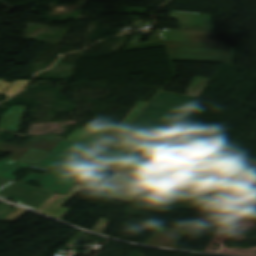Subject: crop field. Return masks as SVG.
<instances>
[{
    "instance_id": "ac0d7876",
    "label": "crop field",
    "mask_w": 256,
    "mask_h": 256,
    "mask_svg": "<svg viewBox=\"0 0 256 256\" xmlns=\"http://www.w3.org/2000/svg\"><path fill=\"white\" fill-rule=\"evenodd\" d=\"M164 43L171 61L225 62L232 64L234 59V50L228 45L170 41H164Z\"/></svg>"
},
{
    "instance_id": "34b2d1b8",
    "label": "crop field",
    "mask_w": 256,
    "mask_h": 256,
    "mask_svg": "<svg viewBox=\"0 0 256 256\" xmlns=\"http://www.w3.org/2000/svg\"><path fill=\"white\" fill-rule=\"evenodd\" d=\"M108 172L116 173L107 187H93L105 191L102 198L132 203L141 187L151 174L149 171L137 170L113 165Z\"/></svg>"
},
{
    "instance_id": "22f410ed",
    "label": "crop field",
    "mask_w": 256,
    "mask_h": 256,
    "mask_svg": "<svg viewBox=\"0 0 256 256\" xmlns=\"http://www.w3.org/2000/svg\"><path fill=\"white\" fill-rule=\"evenodd\" d=\"M147 103L138 101L135 104V107L132 109V111L126 116V118L120 123L118 127L126 128L129 123L137 116V114L141 111V108H143Z\"/></svg>"
},
{
    "instance_id": "f4fd0767",
    "label": "crop field",
    "mask_w": 256,
    "mask_h": 256,
    "mask_svg": "<svg viewBox=\"0 0 256 256\" xmlns=\"http://www.w3.org/2000/svg\"><path fill=\"white\" fill-rule=\"evenodd\" d=\"M159 31L163 40L223 44L217 38L214 32L182 31V30H175V29H168L167 32L162 30H159Z\"/></svg>"
},
{
    "instance_id": "d1516ede",
    "label": "crop field",
    "mask_w": 256,
    "mask_h": 256,
    "mask_svg": "<svg viewBox=\"0 0 256 256\" xmlns=\"http://www.w3.org/2000/svg\"><path fill=\"white\" fill-rule=\"evenodd\" d=\"M209 79L194 77L191 85L188 87L187 92L188 96H194L199 97L207 83L209 82Z\"/></svg>"
},
{
    "instance_id": "e52e79f7",
    "label": "crop field",
    "mask_w": 256,
    "mask_h": 256,
    "mask_svg": "<svg viewBox=\"0 0 256 256\" xmlns=\"http://www.w3.org/2000/svg\"><path fill=\"white\" fill-rule=\"evenodd\" d=\"M83 189H85V187L76 185L70 190V192L66 196L55 194L43 205H41L38 209H36V211L58 218L61 215H63L66 211H68V209L65 208H63L64 210H62V207L60 206L67 202L69 199H71L74 195H76V193L82 191Z\"/></svg>"
},
{
    "instance_id": "28ad6ade",
    "label": "crop field",
    "mask_w": 256,
    "mask_h": 256,
    "mask_svg": "<svg viewBox=\"0 0 256 256\" xmlns=\"http://www.w3.org/2000/svg\"><path fill=\"white\" fill-rule=\"evenodd\" d=\"M4 81L5 79H0V94L5 93L7 97L21 91L29 82V80L15 81L13 83H7Z\"/></svg>"
},
{
    "instance_id": "412701ff",
    "label": "crop field",
    "mask_w": 256,
    "mask_h": 256,
    "mask_svg": "<svg viewBox=\"0 0 256 256\" xmlns=\"http://www.w3.org/2000/svg\"><path fill=\"white\" fill-rule=\"evenodd\" d=\"M31 140H33L31 142ZM22 147L0 142V150L12 153V159L36 163L45 156L62 138L55 135L38 136Z\"/></svg>"
},
{
    "instance_id": "8a807250",
    "label": "crop field",
    "mask_w": 256,
    "mask_h": 256,
    "mask_svg": "<svg viewBox=\"0 0 256 256\" xmlns=\"http://www.w3.org/2000/svg\"><path fill=\"white\" fill-rule=\"evenodd\" d=\"M198 98L160 92L104 161L153 171Z\"/></svg>"
},
{
    "instance_id": "5a996713",
    "label": "crop field",
    "mask_w": 256,
    "mask_h": 256,
    "mask_svg": "<svg viewBox=\"0 0 256 256\" xmlns=\"http://www.w3.org/2000/svg\"><path fill=\"white\" fill-rule=\"evenodd\" d=\"M26 109V106L11 107L2 115L0 128L17 132Z\"/></svg>"
},
{
    "instance_id": "3316defc",
    "label": "crop field",
    "mask_w": 256,
    "mask_h": 256,
    "mask_svg": "<svg viewBox=\"0 0 256 256\" xmlns=\"http://www.w3.org/2000/svg\"><path fill=\"white\" fill-rule=\"evenodd\" d=\"M111 127H99V126H94V125H89L87 124L84 128L80 129L78 128L73 134H71L66 140L73 141L78 143L85 135L87 134H92L96 137H101L104 133H106Z\"/></svg>"
},
{
    "instance_id": "d8731c3e",
    "label": "crop field",
    "mask_w": 256,
    "mask_h": 256,
    "mask_svg": "<svg viewBox=\"0 0 256 256\" xmlns=\"http://www.w3.org/2000/svg\"><path fill=\"white\" fill-rule=\"evenodd\" d=\"M184 234V231L159 227L146 244L176 248Z\"/></svg>"
},
{
    "instance_id": "cbeb9de0",
    "label": "crop field",
    "mask_w": 256,
    "mask_h": 256,
    "mask_svg": "<svg viewBox=\"0 0 256 256\" xmlns=\"http://www.w3.org/2000/svg\"><path fill=\"white\" fill-rule=\"evenodd\" d=\"M101 165L102 167H100ZM108 166H109L108 164L96 162L89 171L96 172L95 170L98 169L96 173L102 174L107 169Z\"/></svg>"
},
{
    "instance_id": "dd49c442",
    "label": "crop field",
    "mask_w": 256,
    "mask_h": 256,
    "mask_svg": "<svg viewBox=\"0 0 256 256\" xmlns=\"http://www.w3.org/2000/svg\"><path fill=\"white\" fill-rule=\"evenodd\" d=\"M171 18H176L179 29L213 31L211 17L207 14L171 11Z\"/></svg>"
}]
</instances>
